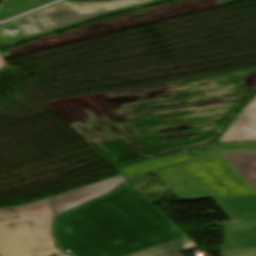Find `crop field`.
<instances>
[{
  "instance_id": "obj_1",
  "label": "crop field",
  "mask_w": 256,
  "mask_h": 256,
  "mask_svg": "<svg viewBox=\"0 0 256 256\" xmlns=\"http://www.w3.org/2000/svg\"><path fill=\"white\" fill-rule=\"evenodd\" d=\"M54 235L74 256H124L185 237L129 182L56 218Z\"/></svg>"
},
{
  "instance_id": "obj_2",
  "label": "crop field",
  "mask_w": 256,
  "mask_h": 256,
  "mask_svg": "<svg viewBox=\"0 0 256 256\" xmlns=\"http://www.w3.org/2000/svg\"><path fill=\"white\" fill-rule=\"evenodd\" d=\"M178 166L156 174L182 200L256 195L222 154L196 157Z\"/></svg>"
},
{
  "instance_id": "obj_3",
  "label": "crop field",
  "mask_w": 256,
  "mask_h": 256,
  "mask_svg": "<svg viewBox=\"0 0 256 256\" xmlns=\"http://www.w3.org/2000/svg\"><path fill=\"white\" fill-rule=\"evenodd\" d=\"M53 214L48 200L24 207L0 209V256H44L63 254L51 235Z\"/></svg>"
},
{
  "instance_id": "obj_4",
  "label": "crop field",
  "mask_w": 256,
  "mask_h": 256,
  "mask_svg": "<svg viewBox=\"0 0 256 256\" xmlns=\"http://www.w3.org/2000/svg\"><path fill=\"white\" fill-rule=\"evenodd\" d=\"M157 0H113L101 3H60L41 12L14 20L23 36L56 30L105 13L153 2ZM237 2L241 0H222Z\"/></svg>"
},
{
  "instance_id": "obj_5",
  "label": "crop field",
  "mask_w": 256,
  "mask_h": 256,
  "mask_svg": "<svg viewBox=\"0 0 256 256\" xmlns=\"http://www.w3.org/2000/svg\"><path fill=\"white\" fill-rule=\"evenodd\" d=\"M126 180L122 175L116 176L97 184L50 198V201L54 207L55 214L58 215L67 209L114 191L119 183Z\"/></svg>"
},
{
  "instance_id": "obj_6",
  "label": "crop field",
  "mask_w": 256,
  "mask_h": 256,
  "mask_svg": "<svg viewBox=\"0 0 256 256\" xmlns=\"http://www.w3.org/2000/svg\"><path fill=\"white\" fill-rule=\"evenodd\" d=\"M256 140V96L241 110L217 142Z\"/></svg>"
},
{
  "instance_id": "obj_7",
  "label": "crop field",
  "mask_w": 256,
  "mask_h": 256,
  "mask_svg": "<svg viewBox=\"0 0 256 256\" xmlns=\"http://www.w3.org/2000/svg\"><path fill=\"white\" fill-rule=\"evenodd\" d=\"M224 244L220 249L256 247V221L221 223Z\"/></svg>"
},
{
  "instance_id": "obj_8",
  "label": "crop field",
  "mask_w": 256,
  "mask_h": 256,
  "mask_svg": "<svg viewBox=\"0 0 256 256\" xmlns=\"http://www.w3.org/2000/svg\"><path fill=\"white\" fill-rule=\"evenodd\" d=\"M215 202L232 221L256 219V196L217 199Z\"/></svg>"
},
{
  "instance_id": "obj_9",
  "label": "crop field",
  "mask_w": 256,
  "mask_h": 256,
  "mask_svg": "<svg viewBox=\"0 0 256 256\" xmlns=\"http://www.w3.org/2000/svg\"><path fill=\"white\" fill-rule=\"evenodd\" d=\"M189 158L190 156L188 153L181 151V152H178L160 159H156L138 166L119 170V172L128 180H130L135 177L183 162Z\"/></svg>"
},
{
  "instance_id": "obj_10",
  "label": "crop field",
  "mask_w": 256,
  "mask_h": 256,
  "mask_svg": "<svg viewBox=\"0 0 256 256\" xmlns=\"http://www.w3.org/2000/svg\"><path fill=\"white\" fill-rule=\"evenodd\" d=\"M223 155L242 175V177L256 190V152ZM252 163L255 165L253 166Z\"/></svg>"
},
{
  "instance_id": "obj_11",
  "label": "crop field",
  "mask_w": 256,
  "mask_h": 256,
  "mask_svg": "<svg viewBox=\"0 0 256 256\" xmlns=\"http://www.w3.org/2000/svg\"><path fill=\"white\" fill-rule=\"evenodd\" d=\"M197 246L187 237L158 245L127 256H180L178 253L187 251Z\"/></svg>"
},
{
  "instance_id": "obj_12",
  "label": "crop field",
  "mask_w": 256,
  "mask_h": 256,
  "mask_svg": "<svg viewBox=\"0 0 256 256\" xmlns=\"http://www.w3.org/2000/svg\"><path fill=\"white\" fill-rule=\"evenodd\" d=\"M256 151V142L217 144L203 153Z\"/></svg>"
},
{
  "instance_id": "obj_13",
  "label": "crop field",
  "mask_w": 256,
  "mask_h": 256,
  "mask_svg": "<svg viewBox=\"0 0 256 256\" xmlns=\"http://www.w3.org/2000/svg\"><path fill=\"white\" fill-rule=\"evenodd\" d=\"M221 256H256V248L220 250Z\"/></svg>"
},
{
  "instance_id": "obj_14",
  "label": "crop field",
  "mask_w": 256,
  "mask_h": 256,
  "mask_svg": "<svg viewBox=\"0 0 256 256\" xmlns=\"http://www.w3.org/2000/svg\"><path fill=\"white\" fill-rule=\"evenodd\" d=\"M4 66H6L1 54H0V69H2Z\"/></svg>"
}]
</instances>
